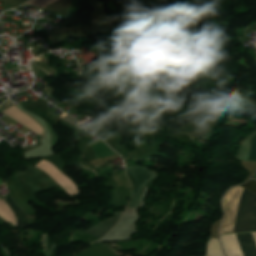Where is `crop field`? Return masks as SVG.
Wrapping results in <instances>:
<instances>
[{"instance_id": "crop-field-1", "label": "crop field", "mask_w": 256, "mask_h": 256, "mask_svg": "<svg viewBox=\"0 0 256 256\" xmlns=\"http://www.w3.org/2000/svg\"><path fill=\"white\" fill-rule=\"evenodd\" d=\"M256 231V195L243 191L233 233Z\"/></svg>"}, {"instance_id": "crop-field-2", "label": "crop field", "mask_w": 256, "mask_h": 256, "mask_svg": "<svg viewBox=\"0 0 256 256\" xmlns=\"http://www.w3.org/2000/svg\"><path fill=\"white\" fill-rule=\"evenodd\" d=\"M126 169L135 184V194H133L128 208H138L144 185L157 174L141 167H126Z\"/></svg>"}, {"instance_id": "crop-field-3", "label": "crop field", "mask_w": 256, "mask_h": 256, "mask_svg": "<svg viewBox=\"0 0 256 256\" xmlns=\"http://www.w3.org/2000/svg\"><path fill=\"white\" fill-rule=\"evenodd\" d=\"M121 212H117L114 213L113 217L110 219H106L104 222H99L96 225L92 226L91 228H89L88 230H86L85 232L100 238L101 236H103L107 231H109L112 226L117 222L119 215Z\"/></svg>"}, {"instance_id": "crop-field-4", "label": "crop field", "mask_w": 256, "mask_h": 256, "mask_svg": "<svg viewBox=\"0 0 256 256\" xmlns=\"http://www.w3.org/2000/svg\"><path fill=\"white\" fill-rule=\"evenodd\" d=\"M245 256H256V240L253 233L238 234Z\"/></svg>"}, {"instance_id": "crop-field-5", "label": "crop field", "mask_w": 256, "mask_h": 256, "mask_svg": "<svg viewBox=\"0 0 256 256\" xmlns=\"http://www.w3.org/2000/svg\"><path fill=\"white\" fill-rule=\"evenodd\" d=\"M8 204L10 207L15 211L16 215L18 216L19 226L18 228H24L31 223V219L26 217L25 213L21 210V208L14 202L11 196L6 197Z\"/></svg>"}, {"instance_id": "crop-field-6", "label": "crop field", "mask_w": 256, "mask_h": 256, "mask_svg": "<svg viewBox=\"0 0 256 256\" xmlns=\"http://www.w3.org/2000/svg\"><path fill=\"white\" fill-rule=\"evenodd\" d=\"M91 148L95 151V159L105 158L115 155L111 150H109L103 142L97 140L95 142L89 143Z\"/></svg>"}, {"instance_id": "crop-field-7", "label": "crop field", "mask_w": 256, "mask_h": 256, "mask_svg": "<svg viewBox=\"0 0 256 256\" xmlns=\"http://www.w3.org/2000/svg\"><path fill=\"white\" fill-rule=\"evenodd\" d=\"M247 160L256 161V135L251 138V148Z\"/></svg>"}, {"instance_id": "crop-field-8", "label": "crop field", "mask_w": 256, "mask_h": 256, "mask_svg": "<svg viewBox=\"0 0 256 256\" xmlns=\"http://www.w3.org/2000/svg\"><path fill=\"white\" fill-rule=\"evenodd\" d=\"M241 186L256 193V181H254V180H251L245 184H242Z\"/></svg>"}, {"instance_id": "crop-field-9", "label": "crop field", "mask_w": 256, "mask_h": 256, "mask_svg": "<svg viewBox=\"0 0 256 256\" xmlns=\"http://www.w3.org/2000/svg\"><path fill=\"white\" fill-rule=\"evenodd\" d=\"M253 130H255V131H256V124L254 125Z\"/></svg>"}]
</instances>
